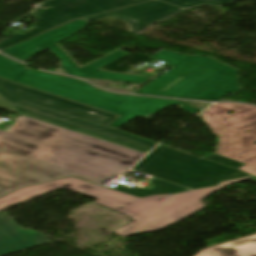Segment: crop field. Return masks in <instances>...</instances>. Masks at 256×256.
<instances>
[{
  "instance_id": "obj_8",
  "label": "crop field",
  "mask_w": 256,
  "mask_h": 256,
  "mask_svg": "<svg viewBox=\"0 0 256 256\" xmlns=\"http://www.w3.org/2000/svg\"><path fill=\"white\" fill-rule=\"evenodd\" d=\"M145 0H49L30 14L36 27L23 35L18 33L0 42V50L70 22Z\"/></svg>"
},
{
  "instance_id": "obj_12",
  "label": "crop field",
  "mask_w": 256,
  "mask_h": 256,
  "mask_svg": "<svg viewBox=\"0 0 256 256\" xmlns=\"http://www.w3.org/2000/svg\"><path fill=\"white\" fill-rule=\"evenodd\" d=\"M151 182L153 183V188L149 190L130 189L126 186H121V185L116 186L114 189L128 193V194H132L138 197H143V196H148L153 194H169V193H175L179 191L190 190L188 188L166 183L155 178H153Z\"/></svg>"
},
{
  "instance_id": "obj_3",
  "label": "crop field",
  "mask_w": 256,
  "mask_h": 256,
  "mask_svg": "<svg viewBox=\"0 0 256 256\" xmlns=\"http://www.w3.org/2000/svg\"><path fill=\"white\" fill-rule=\"evenodd\" d=\"M18 83L120 115L108 125L115 129L135 116L148 119L169 105L184 104L180 109L192 115L201 111L182 101L109 93L78 79L30 69Z\"/></svg>"
},
{
  "instance_id": "obj_14",
  "label": "crop field",
  "mask_w": 256,
  "mask_h": 256,
  "mask_svg": "<svg viewBox=\"0 0 256 256\" xmlns=\"http://www.w3.org/2000/svg\"><path fill=\"white\" fill-rule=\"evenodd\" d=\"M162 1L189 9L193 6L200 5V4H207V5H214V6L221 7L234 0H162Z\"/></svg>"
},
{
  "instance_id": "obj_10",
  "label": "crop field",
  "mask_w": 256,
  "mask_h": 256,
  "mask_svg": "<svg viewBox=\"0 0 256 256\" xmlns=\"http://www.w3.org/2000/svg\"><path fill=\"white\" fill-rule=\"evenodd\" d=\"M50 243L41 233L23 230L8 215L0 212V256Z\"/></svg>"
},
{
  "instance_id": "obj_13",
  "label": "crop field",
  "mask_w": 256,
  "mask_h": 256,
  "mask_svg": "<svg viewBox=\"0 0 256 256\" xmlns=\"http://www.w3.org/2000/svg\"><path fill=\"white\" fill-rule=\"evenodd\" d=\"M26 66L0 55V77L16 82Z\"/></svg>"
},
{
  "instance_id": "obj_15",
  "label": "crop field",
  "mask_w": 256,
  "mask_h": 256,
  "mask_svg": "<svg viewBox=\"0 0 256 256\" xmlns=\"http://www.w3.org/2000/svg\"><path fill=\"white\" fill-rule=\"evenodd\" d=\"M157 60L161 59L166 61L168 64L174 66L177 63H179L180 61L184 60L185 58H187L188 56L185 55H181L172 51H165V50H161L158 53H156L155 55L151 56Z\"/></svg>"
},
{
  "instance_id": "obj_11",
  "label": "crop field",
  "mask_w": 256,
  "mask_h": 256,
  "mask_svg": "<svg viewBox=\"0 0 256 256\" xmlns=\"http://www.w3.org/2000/svg\"><path fill=\"white\" fill-rule=\"evenodd\" d=\"M196 256H256V235L204 249Z\"/></svg>"
},
{
  "instance_id": "obj_6",
  "label": "crop field",
  "mask_w": 256,
  "mask_h": 256,
  "mask_svg": "<svg viewBox=\"0 0 256 256\" xmlns=\"http://www.w3.org/2000/svg\"><path fill=\"white\" fill-rule=\"evenodd\" d=\"M87 23L88 22L86 21L77 20L65 24L34 38L26 40L22 43L9 47L2 52L26 62L30 60L33 55L48 48L60 61V68L66 74L82 78L137 84H142L152 78L149 76L109 73L98 70L99 68L129 54L120 50L107 55L83 68L79 67L78 64L72 58H70L56 43L82 30V28Z\"/></svg>"
},
{
  "instance_id": "obj_2",
  "label": "crop field",
  "mask_w": 256,
  "mask_h": 256,
  "mask_svg": "<svg viewBox=\"0 0 256 256\" xmlns=\"http://www.w3.org/2000/svg\"><path fill=\"white\" fill-rule=\"evenodd\" d=\"M244 177L225 181L215 187L192 190L176 195L152 196L137 199L124 193L106 189L72 177L22 188L12 194L0 198V211L26 200L64 188L97 199L95 203L123 213L134 221L115 233L122 236L134 235L160 230L205 207L201 199L219 189L240 181L249 180Z\"/></svg>"
},
{
  "instance_id": "obj_7",
  "label": "crop field",
  "mask_w": 256,
  "mask_h": 256,
  "mask_svg": "<svg viewBox=\"0 0 256 256\" xmlns=\"http://www.w3.org/2000/svg\"><path fill=\"white\" fill-rule=\"evenodd\" d=\"M133 170L191 188L246 176L226 166L160 145Z\"/></svg>"
},
{
  "instance_id": "obj_1",
  "label": "crop field",
  "mask_w": 256,
  "mask_h": 256,
  "mask_svg": "<svg viewBox=\"0 0 256 256\" xmlns=\"http://www.w3.org/2000/svg\"><path fill=\"white\" fill-rule=\"evenodd\" d=\"M0 108L22 115L0 130V197L68 175L100 184L156 145L105 127L116 115L3 79Z\"/></svg>"
},
{
  "instance_id": "obj_16",
  "label": "crop field",
  "mask_w": 256,
  "mask_h": 256,
  "mask_svg": "<svg viewBox=\"0 0 256 256\" xmlns=\"http://www.w3.org/2000/svg\"><path fill=\"white\" fill-rule=\"evenodd\" d=\"M203 158H206V159H209V160H212V161H215V162H218V163H221V164H224V165L236 168V169H238L240 166L243 165V163H240V162H237V161L231 160L229 158H226V157L214 154V153H210V152H208L206 155H204Z\"/></svg>"
},
{
  "instance_id": "obj_18",
  "label": "crop field",
  "mask_w": 256,
  "mask_h": 256,
  "mask_svg": "<svg viewBox=\"0 0 256 256\" xmlns=\"http://www.w3.org/2000/svg\"><path fill=\"white\" fill-rule=\"evenodd\" d=\"M248 176H249V177H253V178H256V176H254V175H250V174H248Z\"/></svg>"
},
{
  "instance_id": "obj_9",
  "label": "crop field",
  "mask_w": 256,
  "mask_h": 256,
  "mask_svg": "<svg viewBox=\"0 0 256 256\" xmlns=\"http://www.w3.org/2000/svg\"><path fill=\"white\" fill-rule=\"evenodd\" d=\"M183 10L157 0L95 15L82 20L90 21L106 16L124 20L128 23L129 31L141 34L152 23L163 21Z\"/></svg>"
},
{
  "instance_id": "obj_4",
  "label": "crop field",
  "mask_w": 256,
  "mask_h": 256,
  "mask_svg": "<svg viewBox=\"0 0 256 256\" xmlns=\"http://www.w3.org/2000/svg\"><path fill=\"white\" fill-rule=\"evenodd\" d=\"M240 91L237 70L204 56H190L136 93L218 101Z\"/></svg>"
},
{
  "instance_id": "obj_5",
  "label": "crop field",
  "mask_w": 256,
  "mask_h": 256,
  "mask_svg": "<svg viewBox=\"0 0 256 256\" xmlns=\"http://www.w3.org/2000/svg\"><path fill=\"white\" fill-rule=\"evenodd\" d=\"M202 116L219 137L218 154L245 163L239 170L256 175V107L216 104Z\"/></svg>"
},
{
  "instance_id": "obj_17",
  "label": "crop field",
  "mask_w": 256,
  "mask_h": 256,
  "mask_svg": "<svg viewBox=\"0 0 256 256\" xmlns=\"http://www.w3.org/2000/svg\"><path fill=\"white\" fill-rule=\"evenodd\" d=\"M189 103H191L192 105H194L202 110L211 104V103H194V102H189Z\"/></svg>"
}]
</instances>
